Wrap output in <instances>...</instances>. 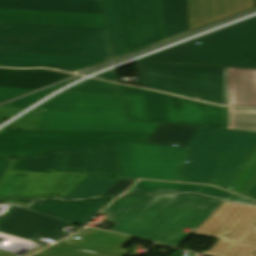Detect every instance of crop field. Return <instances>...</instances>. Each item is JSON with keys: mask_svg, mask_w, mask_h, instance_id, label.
Masks as SVG:
<instances>
[{"mask_svg": "<svg viewBox=\"0 0 256 256\" xmlns=\"http://www.w3.org/2000/svg\"><path fill=\"white\" fill-rule=\"evenodd\" d=\"M224 201L196 194L131 195L114 202L103 212L110 213V230L176 246L211 216Z\"/></svg>", "mask_w": 256, "mask_h": 256, "instance_id": "8a807250", "label": "crop field"}, {"mask_svg": "<svg viewBox=\"0 0 256 256\" xmlns=\"http://www.w3.org/2000/svg\"><path fill=\"white\" fill-rule=\"evenodd\" d=\"M178 181L211 184L229 190L256 149V134L198 128Z\"/></svg>", "mask_w": 256, "mask_h": 256, "instance_id": "ac0d7876", "label": "crop field"}, {"mask_svg": "<svg viewBox=\"0 0 256 256\" xmlns=\"http://www.w3.org/2000/svg\"><path fill=\"white\" fill-rule=\"evenodd\" d=\"M43 109L36 130L154 133L159 124L126 121L122 98L62 93Z\"/></svg>", "mask_w": 256, "mask_h": 256, "instance_id": "34b2d1b8", "label": "crop field"}, {"mask_svg": "<svg viewBox=\"0 0 256 256\" xmlns=\"http://www.w3.org/2000/svg\"><path fill=\"white\" fill-rule=\"evenodd\" d=\"M0 50L112 57L98 28L0 23Z\"/></svg>", "mask_w": 256, "mask_h": 256, "instance_id": "412701ff", "label": "crop field"}, {"mask_svg": "<svg viewBox=\"0 0 256 256\" xmlns=\"http://www.w3.org/2000/svg\"><path fill=\"white\" fill-rule=\"evenodd\" d=\"M144 59L256 68V17Z\"/></svg>", "mask_w": 256, "mask_h": 256, "instance_id": "f4fd0767", "label": "crop field"}, {"mask_svg": "<svg viewBox=\"0 0 256 256\" xmlns=\"http://www.w3.org/2000/svg\"><path fill=\"white\" fill-rule=\"evenodd\" d=\"M143 88L226 106V67L137 61Z\"/></svg>", "mask_w": 256, "mask_h": 256, "instance_id": "dd49c442", "label": "crop field"}, {"mask_svg": "<svg viewBox=\"0 0 256 256\" xmlns=\"http://www.w3.org/2000/svg\"><path fill=\"white\" fill-rule=\"evenodd\" d=\"M122 87L128 119L227 129V109Z\"/></svg>", "mask_w": 256, "mask_h": 256, "instance_id": "e52e79f7", "label": "crop field"}, {"mask_svg": "<svg viewBox=\"0 0 256 256\" xmlns=\"http://www.w3.org/2000/svg\"><path fill=\"white\" fill-rule=\"evenodd\" d=\"M152 134L117 132L0 131V157H20L127 141L147 143Z\"/></svg>", "mask_w": 256, "mask_h": 256, "instance_id": "d8731c3e", "label": "crop field"}, {"mask_svg": "<svg viewBox=\"0 0 256 256\" xmlns=\"http://www.w3.org/2000/svg\"><path fill=\"white\" fill-rule=\"evenodd\" d=\"M192 233L220 239L208 255L256 256V206L224 202Z\"/></svg>", "mask_w": 256, "mask_h": 256, "instance_id": "5a996713", "label": "crop field"}, {"mask_svg": "<svg viewBox=\"0 0 256 256\" xmlns=\"http://www.w3.org/2000/svg\"><path fill=\"white\" fill-rule=\"evenodd\" d=\"M125 178L177 181L189 149L127 142L118 144ZM182 171V170H181Z\"/></svg>", "mask_w": 256, "mask_h": 256, "instance_id": "3316defc", "label": "crop field"}, {"mask_svg": "<svg viewBox=\"0 0 256 256\" xmlns=\"http://www.w3.org/2000/svg\"><path fill=\"white\" fill-rule=\"evenodd\" d=\"M114 3L124 54L164 39L161 0H114Z\"/></svg>", "mask_w": 256, "mask_h": 256, "instance_id": "28ad6ade", "label": "crop field"}, {"mask_svg": "<svg viewBox=\"0 0 256 256\" xmlns=\"http://www.w3.org/2000/svg\"><path fill=\"white\" fill-rule=\"evenodd\" d=\"M87 174L53 172L52 174L5 171L0 178V201L10 197L24 199H62Z\"/></svg>", "mask_w": 256, "mask_h": 256, "instance_id": "d1516ede", "label": "crop field"}, {"mask_svg": "<svg viewBox=\"0 0 256 256\" xmlns=\"http://www.w3.org/2000/svg\"><path fill=\"white\" fill-rule=\"evenodd\" d=\"M55 171L124 178L117 144L64 152Z\"/></svg>", "mask_w": 256, "mask_h": 256, "instance_id": "22f410ed", "label": "crop field"}, {"mask_svg": "<svg viewBox=\"0 0 256 256\" xmlns=\"http://www.w3.org/2000/svg\"><path fill=\"white\" fill-rule=\"evenodd\" d=\"M70 222L12 206L0 221V232L33 241L38 236L62 239L60 230Z\"/></svg>", "mask_w": 256, "mask_h": 256, "instance_id": "cbeb9de0", "label": "crop field"}, {"mask_svg": "<svg viewBox=\"0 0 256 256\" xmlns=\"http://www.w3.org/2000/svg\"><path fill=\"white\" fill-rule=\"evenodd\" d=\"M0 22L106 28L103 15L0 10Z\"/></svg>", "mask_w": 256, "mask_h": 256, "instance_id": "5142ce71", "label": "crop field"}, {"mask_svg": "<svg viewBox=\"0 0 256 256\" xmlns=\"http://www.w3.org/2000/svg\"><path fill=\"white\" fill-rule=\"evenodd\" d=\"M255 0H188L190 31L253 8Z\"/></svg>", "mask_w": 256, "mask_h": 256, "instance_id": "d9b57169", "label": "crop field"}, {"mask_svg": "<svg viewBox=\"0 0 256 256\" xmlns=\"http://www.w3.org/2000/svg\"><path fill=\"white\" fill-rule=\"evenodd\" d=\"M108 59L110 58L0 51V66L6 67H48L59 69L78 61H82L91 67Z\"/></svg>", "mask_w": 256, "mask_h": 256, "instance_id": "733c2abd", "label": "crop field"}, {"mask_svg": "<svg viewBox=\"0 0 256 256\" xmlns=\"http://www.w3.org/2000/svg\"><path fill=\"white\" fill-rule=\"evenodd\" d=\"M114 199H97L83 202H62L60 200L37 201L28 209L49 214L74 223H87Z\"/></svg>", "mask_w": 256, "mask_h": 256, "instance_id": "4a817a6b", "label": "crop field"}, {"mask_svg": "<svg viewBox=\"0 0 256 256\" xmlns=\"http://www.w3.org/2000/svg\"><path fill=\"white\" fill-rule=\"evenodd\" d=\"M0 9L103 14L100 1L91 0H0Z\"/></svg>", "mask_w": 256, "mask_h": 256, "instance_id": "bc2a9ffb", "label": "crop field"}, {"mask_svg": "<svg viewBox=\"0 0 256 256\" xmlns=\"http://www.w3.org/2000/svg\"><path fill=\"white\" fill-rule=\"evenodd\" d=\"M227 106L256 107V69L227 67Z\"/></svg>", "mask_w": 256, "mask_h": 256, "instance_id": "214f88e0", "label": "crop field"}, {"mask_svg": "<svg viewBox=\"0 0 256 256\" xmlns=\"http://www.w3.org/2000/svg\"><path fill=\"white\" fill-rule=\"evenodd\" d=\"M70 76L50 70L0 69V87L36 90Z\"/></svg>", "mask_w": 256, "mask_h": 256, "instance_id": "92a150f3", "label": "crop field"}, {"mask_svg": "<svg viewBox=\"0 0 256 256\" xmlns=\"http://www.w3.org/2000/svg\"><path fill=\"white\" fill-rule=\"evenodd\" d=\"M138 192L151 194L194 192L223 200H226L231 195V193L205 185L160 181H140L127 194Z\"/></svg>", "mask_w": 256, "mask_h": 256, "instance_id": "dafd665d", "label": "crop field"}, {"mask_svg": "<svg viewBox=\"0 0 256 256\" xmlns=\"http://www.w3.org/2000/svg\"><path fill=\"white\" fill-rule=\"evenodd\" d=\"M165 39L189 31L187 0H162Z\"/></svg>", "mask_w": 256, "mask_h": 256, "instance_id": "00972430", "label": "crop field"}, {"mask_svg": "<svg viewBox=\"0 0 256 256\" xmlns=\"http://www.w3.org/2000/svg\"><path fill=\"white\" fill-rule=\"evenodd\" d=\"M120 179L87 176L63 200L101 197Z\"/></svg>", "mask_w": 256, "mask_h": 256, "instance_id": "a9b5d70f", "label": "crop field"}, {"mask_svg": "<svg viewBox=\"0 0 256 256\" xmlns=\"http://www.w3.org/2000/svg\"><path fill=\"white\" fill-rule=\"evenodd\" d=\"M62 152L15 158L7 170L52 173Z\"/></svg>", "mask_w": 256, "mask_h": 256, "instance_id": "4177f3b9", "label": "crop field"}, {"mask_svg": "<svg viewBox=\"0 0 256 256\" xmlns=\"http://www.w3.org/2000/svg\"><path fill=\"white\" fill-rule=\"evenodd\" d=\"M197 128L160 124L148 143L185 147Z\"/></svg>", "mask_w": 256, "mask_h": 256, "instance_id": "730fd06b", "label": "crop field"}, {"mask_svg": "<svg viewBox=\"0 0 256 256\" xmlns=\"http://www.w3.org/2000/svg\"><path fill=\"white\" fill-rule=\"evenodd\" d=\"M65 92L122 97L118 84L89 79Z\"/></svg>", "mask_w": 256, "mask_h": 256, "instance_id": "eef30255", "label": "crop field"}, {"mask_svg": "<svg viewBox=\"0 0 256 256\" xmlns=\"http://www.w3.org/2000/svg\"><path fill=\"white\" fill-rule=\"evenodd\" d=\"M34 256H124L108 252L97 251L84 247L59 243Z\"/></svg>", "mask_w": 256, "mask_h": 256, "instance_id": "ae1a2a85", "label": "crop field"}, {"mask_svg": "<svg viewBox=\"0 0 256 256\" xmlns=\"http://www.w3.org/2000/svg\"><path fill=\"white\" fill-rule=\"evenodd\" d=\"M228 129L256 132V110L228 109Z\"/></svg>", "mask_w": 256, "mask_h": 256, "instance_id": "d3111659", "label": "crop field"}, {"mask_svg": "<svg viewBox=\"0 0 256 256\" xmlns=\"http://www.w3.org/2000/svg\"><path fill=\"white\" fill-rule=\"evenodd\" d=\"M105 12L107 16L110 38L113 46L115 56L122 55V46L120 41V35L118 30V24L116 19V13L113 0H103Z\"/></svg>", "mask_w": 256, "mask_h": 256, "instance_id": "750c4746", "label": "crop field"}, {"mask_svg": "<svg viewBox=\"0 0 256 256\" xmlns=\"http://www.w3.org/2000/svg\"><path fill=\"white\" fill-rule=\"evenodd\" d=\"M256 171V150L249 158L238 178L230 188V191L243 195L246 187Z\"/></svg>", "mask_w": 256, "mask_h": 256, "instance_id": "bd1437ed", "label": "crop field"}, {"mask_svg": "<svg viewBox=\"0 0 256 256\" xmlns=\"http://www.w3.org/2000/svg\"><path fill=\"white\" fill-rule=\"evenodd\" d=\"M42 110H34L14 123L7 126L8 128H16V129H28L35 130L38 120L40 118Z\"/></svg>", "mask_w": 256, "mask_h": 256, "instance_id": "1d83c4d3", "label": "crop field"}, {"mask_svg": "<svg viewBox=\"0 0 256 256\" xmlns=\"http://www.w3.org/2000/svg\"><path fill=\"white\" fill-rule=\"evenodd\" d=\"M52 92L49 91H43L37 94H33L30 96H27L25 98H22L20 100L14 101L10 104H8L9 106H15V107H23V108H28L31 105L35 104L36 102H38L39 100L43 99L44 97H46L47 95H49Z\"/></svg>", "mask_w": 256, "mask_h": 256, "instance_id": "120bbe31", "label": "crop field"}, {"mask_svg": "<svg viewBox=\"0 0 256 256\" xmlns=\"http://www.w3.org/2000/svg\"><path fill=\"white\" fill-rule=\"evenodd\" d=\"M137 180L131 179H121L117 184H115L107 193L102 197H111L116 195H122L132 184Z\"/></svg>", "mask_w": 256, "mask_h": 256, "instance_id": "d32e631a", "label": "crop field"}, {"mask_svg": "<svg viewBox=\"0 0 256 256\" xmlns=\"http://www.w3.org/2000/svg\"><path fill=\"white\" fill-rule=\"evenodd\" d=\"M29 92L32 91L0 88V103Z\"/></svg>", "mask_w": 256, "mask_h": 256, "instance_id": "5866460e", "label": "crop field"}, {"mask_svg": "<svg viewBox=\"0 0 256 256\" xmlns=\"http://www.w3.org/2000/svg\"><path fill=\"white\" fill-rule=\"evenodd\" d=\"M23 110H25V109L1 106L0 107V122L3 119H7V118H11V117L15 116L16 114L22 112Z\"/></svg>", "mask_w": 256, "mask_h": 256, "instance_id": "028f5c9d", "label": "crop field"}, {"mask_svg": "<svg viewBox=\"0 0 256 256\" xmlns=\"http://www.w3.org/2000/svg\"><path fill=\"white\" fill-rule=\"evenodd\" d=\"M244 196H247L249 198L256 200V173L253 179L251 180L248 188L246 189Z\"/></svg>", "mask_w": 256, "mask_h": 256, "instance_id": "e1f06a70", "label": "crop field"}, {"mask_svg": "<svg viewBox=\"0 0 256 256\" xmlns=\"http://www.w3.org/2000/svg\"><path fill=\"white\" fill-rule=\"evenodd\" d=\"M86 68H89V67H87L83 63L79 62V63L73 64V65L61 68L59 70L68 71V72H76V71H80V70H83V69H86Z\"/></svg>", "mask_w": 256, "mask_h": 256, "instance_id": "0bd39190", "label": "crop field"}, {"mask_svg": "<svg viewBox=\"0 0 256 256\" xmlns=\"http://www.w3.org/2000/svg\"><path fill=\"white\" fill-rule=\"evenodd\" d=\"M227 201H233V202H240V203H246V204L256 205V202L251 201V200L246 199V198H243V197H240V196H237V195H234V194H232V195L227 199Z\"/></svg>", "mask_w": 256, "mask_h": 256, "instance_id": "b80d0937", "label": "crop field"}, {"mask_svg": "<svg viewBox=\"0 0 256 256\" xmlns=\"http://www.w3.org/2000/svg\"><path fill=\"white\" fill-rule=\"evenodd\" d=\"M6 202L22 206V207H27L30 203H32V200H24V199H18V198H11L7 200Z\"/></svg>", "mask_w": 256, "mask_h": 256, "instance_id": "c035e120", "label": "crop field"}, {"mask_svg": "<svg viewBox=\"0 0 256 256\" xmlns=\"http://www.w3.org/2000/svg\"><path fill=\"white\" fill-rule=\"evenodd\" d=\"M95 78L106 79V80H111V81L118 82L115 70L103 73V74H101V75H99Z\"/></svg>", "mask_w": 256, "mask_h": 256, "instance_id": "c21b1889", "label": "crop field"}, {"mask_svg": "<svg viewBox=\"0 0 256 256\" xmlns=\"http://www.w3.org/2000/svg\"><path fill=\"white\" fill-rule=\"evenodd\" d=\"M13 158H0V177L8 167V165L11 163Z\"/></svg>", "mask_w": 256, "mask_h": 256, "instance_id": "03da06ac", "label": "crop field"}, {"mask_svg": "<svg viewBox=\"0 0 256 256\" xmlns=\"http://www.w3.org/2000/svg\"><path fill=\"white\" fill-rule=\"evenodd\" d=\"M255 7H256V4H255Z\"/></svg>", "mask_w": 256, "mask_h": 256, "instance_id": "b54c1fbb", "label": "crop field"}]
</instances>
